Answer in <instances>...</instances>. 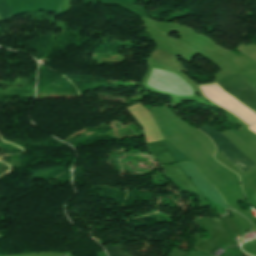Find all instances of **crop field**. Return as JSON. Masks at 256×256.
<instances>
[{"instance_id":"crop-field-2","label":"crop field","mask_w":256,"mask_h":256,"mask_svg":"<svg viewBox=\"0 0 256 256\" xmlns=\"http://www.w3.org/2000/svg\"><path fill=\"white\" fill-rule=\"evenodd\" d=\"M222 89L240 102L256 111V89L238 74H232L217 81Z\"/></svg>"},{"instance_id":"crop-field-5","label":"crop field","mask_w":256,"mask_h":256,"mask_svg":"<svg viewBox=\"0 0 256 256\" xmlns=\"http://www.w3.org/2000/svg\"><path fill=\"white\" fill-rule=\"evenodd\" d=\"M0 17L2 21L12 18V14L8 10L4 0H0Z\"/></svg>"},{"instance_id":"crop-field-3","label":"crop field","mask_w":256,"mask_h":256,"mask_svg":"<svg viewBox=\"0 0 256 256\" xmlns=\"http://www.w3.org/2000/svg\"><path fill=\"white\" fill-rule=\"evenodd\" d=\"M183 168L187 176H191L193 178V183L202 191V193L209 197V199L217 202L223 208L228 209L223 201L221 200L219 194L216 190L208 183V181L200 174V172L195 168V166L191 162H181L179 163Z\"/></svg>"},{"instance_id":"crop-field-4","label":"crop field","mask_w":256,"mask_h":256,"mask_svg":"<svg viewBox=\"0 0 256 256\" xmlns=\"http://www.w3.org/2000/svg\"><path fill=\"white\" fill-rule=\"evenodd\" d=\"M108 256H128L123 249L121 248L120 244L112 245V246H106L103 247Z\"/></svg>"},{"instance_id":"crop-field-6","label":"crop field","mask_w":256,"mask_h":256,"mask_svg":"<svg viewBox=\"0 0 256 256\" xmlns=\"http://www.w3.org/2000/svg\"><path fill=\"white\" fill-rule=\"evenodd\" d=\"M249 128L256 132V124L252 125V126L249 127Z\"/></svg>"},{"instance_id":"crop-field-1","label":"crop field","mask_w":256,"mask_h":256,"mask_svg":"<svg viewBox=\"0 0 256 256\" xmlns=\"http://www.w3.org/2000/svg\"><path fill=\"white\" fill-rule=\"evenodd\" d=\"M199 129L207 134L213 140L217 150L242 172L256 166L254 162H252L221 133L206 124L201 126Z\"/></svg>"}]
</instances>
